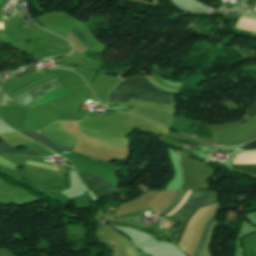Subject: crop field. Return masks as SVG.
I'll return each mask as SVG.
<instances>
[{"label": "crop field", "mask_w": 256, "mask_h": 256, "mask_svg": "<svg viewBox=\"0 0 256 256\" xmlns=\"http://www.w3.org/2000/svg\"><path fill=\"white\" fill-rule=\"evenodd\" d=\"M146 210H151V208H149V209H142L140 211L131 212V213H128V214H125V215H122V216H118V217L119 218H125V217H132V216H142L143 212L146 211Z\"/></svg>", "instance_id": "10"}, {"label": "crop field", "mask_w": 256, "mask_h": 256, "mask_svg": "<svg viewBox=\"0 0 256 256\" xmlns=\"http://www.w3.org/2000/svg\"><path fill=\"white\" fill-rule=\"evenodd\" d=\"M252 149H256V140L248 143L243 150H252Z\"/></svg>", "instance_id": "11"}, {"label": "crop field", "mask_w": 256, "mask_h": 256, "mask_svg": "<svg viewBox=\"0 0 256 256\" xmlns=\"http://www.w3.org/2000/svg\"><path fill=\"white\" fill-rule=\"evenodd\" d=\"M81 176V179H85V180H90V181H94L96 183H98L100 186H102L103 188L107 189L108 191H110L111 193H115L118 190L117 186H115L114 184L98 177V176H94V175H90V174H79ZM84 181L85 185L95 189L96 191L106 195V196H109V195H112L110 192H108L107 190L103 189L102 187H100L98 184L94 183V182H90V181ZM97 198V200L105 197L101 194H99L98 192L88 188Z\"/></svg>", "instance_id": "4"}, {"label": "crop field", "mask_w": 256, "mask_h": 256, "mask_svg": "<svg viewBox=\"0 0 256 256\" xmlns=\"http://www.w3.org/2000/svg\"><path fill=\"white\" fill-rule=\"evenodd\" d=\"M0 148L6 152L8 155H21L20 153L16 152V150L11 147L10 145H8L6 142H2L0 144ZM23 155H28V156H38L37 154L33 153L32 151L28 150L25 153H22Z\"/></svg>", "instance_id": "7"}, {"label": "crop field", "mask_w": 256, "mask_h": 256, "mask_svg": "<svg viewBox=\"0 0 256 256\" xmlns=\"http://www.w3.org/2000/svg\"><path fill=\"white\" fill-rule=\"evenodd\" d=\"M73 30L75 31V33L80 37V39L85 43L87 44L90 48L94 47L85 37L84 35L79 31V29L77 27L73 28ZM72 29L70 30L74 35L75 37L87 48V49H90L88 46H86L80 39L79 37L74 33Z\"/></svg>", "instance_id": "9"}, {"label": "crop field", "mask_w": 256, "mask_h": 256, "mask_svg": "<svg viewBox=\"0 0 256 256\" xmlns=\"http://www.w3.org/2000/svg\"><path fill=\"white\" fill-rule=\"evenodd\" d=\"M192 214H193V212H191V214H190V216H189V218H188L186 224H187L188 221L190 220ZM216 214H217V212H216L214 215H212V216L210 217V219H209V221H208V223H207V225H206V227H205V229H204V231H203V233H202V235H201V237H200V239H199V241H198V244H197V246H196V248H195V250H194L192 256H199V254H200V252H201V250H202V248H203L204 242H205V240H206V237H207L208 231H209V229H210V226H211V224L215 221ZM186 224H185V226H186ZM185 226H184V228H185ZM184 228H183V230H182V233H183V231H184ZM182 233H181V235H180V237H179L177 243L179 242V240H180V238H181V236H182Z\"/></svg>", "instance_id": "5"}, {"label": "crop field", "mask_w": 256, "mask_h": 256, "mask_svg": "<svg viewBox=\"0 0 256 256\" xmlns=\"http://www.w3.org/2000/svg\"><path fill=\"white\" fill-rule=\"evenodd\" d=\"M54 80H56V79H54ZM54 83H57V81H51V82H48L46 84H43V85H41V86H39V87L29 91L28 93L24 94L23 96H21L19 98L14 99V100L17 102V101L23 99L24 97L28 96L29 94H31V93H33V92H35V91H37V90H39L41 88H44V87H46L48 85L54 84ZM57 87H60L59 83L51 85V86H49L47 88H44L42 90H39V91L29 95L28 97L24 98L23 100L19 101L18 103L24 104V103L28 102L29 100H31V99H33V98H35V97H37V96H39V95H41V94H43L45 92H48V91H50V90H52L54 88H57ZM67 94L68 93H67L65 87L63 86V87L54 89V90H52V91H50V92H48L46 94H43V95L33 99L32 101L22 105V107H29V106H33V105H37V104H44V103H46V102H48V101H50V100H52V99H54L56 97H60V96L67 95Z\"/></svg>", "instance_id": "3"}, {"label": "crop field", "mask_w": 256, "mask_h": 256, "mask_svg": "<svg viewBox=\"0 0 256 256\" xmlns=\"http://www.w3.org/2000/svg\"><path fill=\"white\" fill-rule=\"evenodd\" d=\"M39 132V131H38ZM24 133L26 136L30 137L31 139L37 141V142H40L54 150H57V151H72L73 148L71 147H65V146H59V145H56L52 142H50L49 140H47L44 136H42L41 134H38L36 132H22Z\"/></svg>", "instance_id": "6"}, {"label": "crop field", "mask_w": 256, "mask_h": 256, "mask_svg": "<svg viewBox=\"0 0 256 256\" xmlns=\"http://www.w3.org/2000/svg\"><path fill=\"white\" fill-rule=\"evenodd\" d=\"M233 168L256 175V164L233 165Z\"/></svg>", "instance_id": "8"}, {"label": "crop field", "mask_w": 256, "mask_h": 256, "mask_svg": "<svg viewBox=\"0 0 256 256\" xmlns=\"http://www.w3.org/2000/svg\"><path fill=\"white\" fill-rule=\"evenodd\" d=\"M187 191H180L179 195L177 196L176 200L170 205V207L165 210L162 214L158 215V217L165 216L168 212L174 209L177 205H179L184 198ZM190 191L187 192L185 198L183 199L182 203L177 206L174 210H172L170 214H172L177 208H179L187 198ZM217 202L215 193L213 192H196L191 191L188 198L186 199L185 203L177 209L172 215H183L188 213L192 210H197L203 207H206L210 204ZM167 216V215H166Z\"/></svg>", "instance_id": "2"}, {"label": "crop field", "mask_w": 256, "mask_h": 256, "mask_svg": "<svg viewBox=\"0 0 256 256\" xmlns=\"http://www.w3.org/2000/svg\"><path fill=\"white\" fill-rule=\"evenodd\" d=\"M117 87L142 89V90H148V91L166 94V95H173V93L162 92V91L152 88L150 85H148L142 79V77H130L126 80L121 81V83ZM126 88H114L110 92H125V93L139 94V95H144L147 97H153V98H159V99L171 101V96H166V95H161V94H156V93H151V92L141 91V90L126 89ZM125 93H109L108 101H128L130 97H133V98H138V99L153 101V102H158V103L172 104L169 101L152 99V98H147L144 96L131 95V94H125Z\"/></svg>", "instance_id": "1"}]
</instances>
